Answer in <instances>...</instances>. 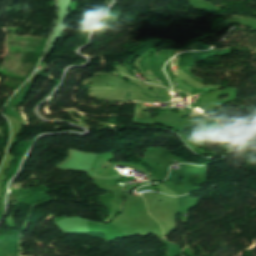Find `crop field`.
I'll return each mask as SVG.
<instances>
[{
  "mask_svg": "<svg viewBox=\"0 0 256 256\" xmlns=\"http://www.w3.org/2000/svg\"><path fill=\"white\" fill-rule=\"evenodd\" d=\"M176 61H177V58H176ZM176 61H175V66H176ZM178 61H179V57H178ZM177 65H178V62H177ZM173 66H174V62H173Z\"/></svg>",
  "mask_w": 256,
  "mask_h": 256,
  "instance_id": "obj_2",
  "label": "crop field"
},
{
  "mask_svg": "<svg viewBox=\"0 0 256 256\" xmlns=\"http://www.w3.org/2000/svg\"><path fill=\"white\" fill-rule=\"evenodd\" d=\"M127 97L132 98V96H131V94H130V93H128ZM134 101H136V100H134Z\"/></svg>",
  "mask_w": 256,
  "mask_h": 256,
  "instance_id": "obj_1",
  "label": "crop field"
}]
</instances>
